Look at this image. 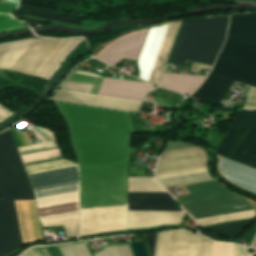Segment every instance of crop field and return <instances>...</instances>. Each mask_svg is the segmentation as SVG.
Returning a JSON list of instances; mask_svg holds the SVG:
<instances>
[{
  "label": "crop field",
  "instance_id": "obj_28",
  "mask_svg": "<svg viewBox=\"0 0 256 256\" xmlns=\"http://www.w3.org/2000/svg\"><path fill=\"white\" fill-rule=\"evenodd\" d=\"M253 217H254V210L235 213V214H229V215H224V216L206 218V219H199V220H195V221L198 223V227H201V226L236 221V220H241V219H248V218H253Z\"/></svg>",
  "mask_w": 256,
  "mask_h": 256
},
{
  "label": "crop field",
  "instance_id": "obj_30",
  "mask_svg": "<svg viewBox=\"0 0 256 256\" xmlns=\"http://www.w3.org/2000/svg\"><path fill=\"white\" fill-rule=\"evenodd\" d=\"M21 27L25 25L11 17L0 15V32Z\"/></svg>",
  "mask_w": 256,
  "mask_h": 256
},
{
  "label": "crop field",
  "instance_id": "obj_16",
  "mask_svg": "<svg viewBox=\"0 0 256 256\" xmlns=\"http://www.w3.org/2000/svg\"><path fill=\"white\" fill-rule=\"evenodd\" d=\"M53 100L139 112L142 102L58 90Z\"/></svg>",
  "mask_w": 256,
  "mask_h": 256
},
{
  "label": "crop field",
  "instance_id": "obj_33",
  "mask_svg": "<svg viewBox=\"0 0 256 256\" xmlns=\"http://www.w3.org/2000/svg\"><path fill=\"white\" fill-rule=\"evenodd\" d=\"M146 237V241L149 247V251L151 256H154V247H155V238H156V234H147L145 235ZM157 237H158V233H157ZM156 246H157V238H156ZM155 255H156V247H155Z\"/></svg>",
  "mask_w": 256,
  "mask_h": 256
},
{
  "label": "crop field",
  "instance_id": "obj_41",
  "mask_svg": "<svg viewBox=\"0 0 256 256\" xmlns=\"http://www.w3.org/2000/svg\"><path fill=\"white\" fill-rule=\"evenodd\" d=\"M0 122H1V120H0Z\"/></svg>",
  "mask_w": 256,
  "mask_h": 256
},
{
  "label": "crop field",
  "instance_id": "obj_26",
  "mask_svg": "<svg viewBox=\"0 0 256 256\" xmlns=\"http://www.w3.org/2000/svg\"><path fill=\"white\" fill-rule=\"evenodd\" d=\"M17 11L22 14L34 15L39 17H45V18H51V19L81 24L80 16L59 14V13H55L47 10L36 9L31 7H21V6L18 8Z\"/></svg>",
  "mask_w": 256,
  "mask_h": 256
},
{
  "label": "crop field",
  "instance_id": "obj_32",
  "mask_svg": "<svg viewBox=\"0 0 256 256\" xmlns=\"http://www.w3.org/2000/svg\"><path fill=\"white\" fill-rule=\"evenodd\" d=\"M230 245L216 243L214 256H228Z\"/></svg>",
  "mask_w": 256,
  "mask_h": 256
},
{
  "label": "crop field",
  "instance_id": "obj_14",
  "mask_svg": "<svg viewBox=\"0 0 256 256\" xmlns=\"http://www.w3.org/2000/svg\"><path fill=\"white\" fill-rule=\"evenodd\" d=\"M148 30L130 33L123 36L122 38L110 44L102 53L97 56V58L114 67L124 57L137 60Z\"/></svg>",
  "mask_w": 256,
  "mask_h": 256
},
{
  "label": "crop field",
  "instance_id": "obj_23",
  "mask_svg": "<svg viewBox=\"0 0 256 256\" xmlns=\"http://www.w3.org/2000/svg\"><path fill=\"white\" fill-rule=\"evenodd\" d=\"M76 71L77 72H82V73H87V74L99 76L97 74L90 73V72H84V71H79V70H76ZM77 72H74L72 74V76L67 81L91 85L90 88L87 85H81V84L65 82V84L62 86L61 89L86 92V90L89 88L87 90L88 93L96 94L97 91H98V88L100 86V83H101V80H102V78H101L102 76L101 77H96V76H91V75L77 73Z\"/></svg>",
  "mask_w": 256,
  "mask_h": 256
},
{
  "label": "crop field",
  "instance_id": "obj_4",
  "mask_svg": "<svg viewBox=\"0 0 256 256\" xmlns=\"http://www.w3.org/2000/svg\"><path fill=\"white\" fill-rule=\"evenodd\" d=\"M0 256L23 247L14 198H35L11 131L0 134Z\"/></svg>",
  "mask_w": 256,
  "mask_h": 256
},
{
  "label": "crop field",
  "instance_id": "obj_19",
  "mask_svg": "<svg viewBox=\"0 0 256 256\" xmlns=\"http://www.w3.org/2000/svg\"><path fill=\"white\" fill-rule=\"evenodd\" d=\"M220 173L242 189L256 193V170L218 156Z\"/></svg>",
  "mask_w": 256,
  "mask_h": 256
},
{
  "label": "crop field",
  "instance_id": "obj_31",
  "mask_svg": "<svg viewBox=\"0 0 256 256\" xmlns=\"http://www.w3.org/2000/svg\"><path fill=\"white\" fill-rule=\"evenodd\" d=\"M245 109H256V88H251L248 98L245 102Z\"/></svg>",
  "mask_w": 256,
  "mask_h": 256
},
{
  "label": "crop field",
  "instance_id": "obj_5",
  "mask_svg": "<svg viewBox=\"0 0 256 256\" xmlns=\"http://www.w3.org/2000/svg\"><path fill=\"white\" fill-rule=\"evenodd\" d=\"M82 40L27 39L1 43L0 68L49 80Z\"/></svg>",
  "mask_w": 256,
  "mask_h": 256
},
{
  "label": "crop field",
  "instance_id": "obj_15",
  "mask_svg": "<svg viewBox=\"0 0 256 256\" xmlns=\"http://www.w3.org/2000/svg\"><path fill=\"white\" fill-rule=\"evenodd\" d=\"M189 195L177 197L182 207L239 198L216 180L184 185Z\"/></svg>",
  "mask_w": 256,
  "mask_h": 256
},
{
  "label": "crop field",
  "instance_id": "obj_25",
  "mask_svg": "<svg viewBox=\"0 0 256 256\" xmlns=\"http://www.w3.org/2000/svg\"><path fill=\"white\" fill-rule=\"evenodd\" d=\"M128 192H165L153 177H129Z\"/></svg>",
  "mask_w": 256,
  "mask_h": 256
},
{
  "label": "crop field",
  "instance_id": "obj_2",
  "mask_svg": "<svg viewBox=\"0 0 256 256\" xmlns=\"http://www.w3.org/2000/svg\"><path fill=\"white\" fill-rule=\"evenodd\" d=\"M234 81L256 86V14L231 16L210 75L190 97L218 105Z\"/></svg>",
  "mask_w": 256,
  "mask_h": 256
},
{
  "label": "crop field",
  "instance_id": "obj_34",
  "mask_svg": "<svg viewBox=\"0 0 256 256\" xmlns=\"http://www.w3.org/2000/svg\"><path fill=\"white\" fill-rule=\"evenodd\" d=\"M231 256H251L247 249L233 244Z\"/></svg>",
  "mask_w": 256,
  "mask_h": 256
},
{
  "label": "crop field",
  "instance_id": "obj_29",
  "mask_svg": "<svg viewBox=\"0 0 256 256\" xmlns=\"http://www.w3.org/2000/svg\"><path fill=\"white\" fill-rule=\"evenodd\" d=\"M22 256H61L56 245L32 247Z\"/></svg>",
  "mask_w": 256,
  "mask_h": 256
},
{
  "label": "crop field",
  "instance_id": "obj_3",
  "mask_svg": "<svg viewBox=\"0 0 256 256\" xmlns=\"http://www.w3.org/2000/svg\"><path fill=\"white\" fill-rule=\"evenodd\" d=\"M39 211L40 222L78 217L79 171L65 159L25 167ZM78 218L45 223L63 225L66 237L77 236Z\"/></svg>",
  "mask_w": 256,
  "mask_h": 256
},
{
  "label": "crop field",
  "instance_id": "obj_27",
  "mask_svg": "<svg viewBox=\"0 0 256 256\" xmlns=\"http://www.w3.org/2000/svg\"><path fill=\"white\" fill-rule=\"evenodd\" d=\"M250 220H243L237 222L224 223L206 227L209 230L223 234L227 237L240 234L251 222Z\"/></svg>",
  "mask_w": 256,
  "mask_h": 256
},
{
  "label": "crop field",
  "instance_id": "obj_7",
  "mask_svg": "<svg viewBox=\"0 0 256 256\" xmlns=\"http://www.w3.org/2000/svg\"><path fill=\"white\" fill-rule=\"evenodd\" d=\"M128 211L183 212L167 193H128ZM184 214L128 212V229L180 224Z\"/></svg>",
  "mask_w": 256,
  "mask_h": 256
},
{
  "label": "crop field",
  "instance_id": "obj_40",
  "mask_svg": "<svg viewBox=\"0 0 256 256\" xmlns=\"http://www.w3.org/2000/svg\"><path fill=\"white\" fill-rule=\"evenodd\" d=\"M0 198H3L1 192H0Z\"/></svg>",
  "mask_w": 256,
  "mask_h": 256
},
{
  "label": "crop field",
  "instance_id": "obj_10",
  "mask_svg": "<svg viewBox=\"0 0 256 256\" xmlns=\"http://www.w3.org/2000/svg\"><path fill=\"white\" fill-rule=\"evenodd\" d=\"M215 241L181 231L159 233L157 256H213Z\"/></svg>",
  "mask_w": 256,
  "mask_h": 256
},
{
  "label": "crop field",
  "instance_id": "obj_12",
  "mask_svg": "<svg viewBox=\"0 0 256 256\" xmlns=\"http://www.w3.org/2000/svg\"><path fill=\"white\" fill-rule=\"evenodd\" d=\"M14 129H15V132L17 134V137H18V140H19L21 146H23L24 144L25 145L32 144L28 134L26 132H24V133L20 132L21 136H22V139L24 141V144H23L18 129H16V127H14ZM14 129L12 128L13 132H14ZM35 129L47 141L55 140L52 132H50L48 130H45V129L38 128V127H35ZM35 129L32 128V130L34 131L36 137L41 142H45L46 140ZM15 132H14V135L16 137ZM17 137H16V140H17ZM18 140H17V143L19 145ZM55 144H57L56 141H52V142H46V143H40V144H35V145H30V146L19 147L18 149H19V152H21V151H26V150L40 148V147L55 145ZM18 145H17V147H18ZM20 155L22 157V160H23V163H24L25 166L32 165V164H37V163H42V162H46V161H51V160H56V159H61L62 158V155H61L57 145L50 146V147H45V148H40V149H36V150H31V151H26V152H21Z\"/></svg>",
  "mask_w": 256,
  "mask_h": 256
},
{
  "label": "crop field",
  "instance_id": "obj_6",
  "mask_svg": "<svg viewBox=\"0 0 256 256\" xmlns=\"http://www.w3.org/2000/svg\"><path fill=\"white\" fill-rule=\"evenodd\" d=\"M227 16L183 20L168 63L183 60L212 65L226 35Z\"/></svg>",
  "mask_w": 256,
  "mask_h": 256
},
{
  "label": "crop field",
  "instance_id": "obj_11",
  "mask_svg": "<svg viewBox=\"0 0 256 256\" xmlns=\"http://www.w3.org/2000/svg\"><path fill=\"white\" fill-rule=\"evenodd\" d=\"M127 230V205L80 209L79 237Z\"/></svg>",
  "mask_w": 256,
  "mask_h": 256
},
{
  "label": "crop field",
  "instance_id": "obj_8",
  "mask_svg": "<svg viewBox=\"0 0 256 256\" xmlns=\"http://www.w3.org/2000/svg\"><path fill=\"white\" fill-rule=\"evenodd\" d=\"M216 154L256 169V111H238Z\"/></svg>",
  "mask_w": 256,
  "mask_h": 256
},
{
  "label": "crop field",
  "instance_id": "obj_9",
  "mask_svg": "<svg viewBox=\"0 0 256 256\" xmlns=\"http://www.w3.org/2000/svg\"><path fill=\"white\" fill-rule=\"evenodd\" d=\"M181 21L151 28L138 59L139 78L158 85Z\"/></svg>",
  "mask_w": 256,
  "mask_h": 256
},
{
  "label": "crop field",
  "instance_id": "obj_37",
  "mask_svg": "<svg viewBox=\"0 0 256 256\" xmlns=\"http://www.w3.org/2000/svg\"><path fill=\"white\" fill-rule=\"evenodd\" d=\"M9 115H11V113L0 106V119L3 120L5 118H7Z\"/></svg>",
  "mask_w": 256,
  "mask_h": 256
},
{
  "label": "crop field",
  "instance_id": "obj_17",
  "mask_svg": "<svg viewBox=\"0 0 256 256\" xmlns=\"http://www.w3.org/2000/svg\"><path fill=\"white\" fill-rule=\"evenodd\" d=\"M154 89L147 83L104 78L97 94L142 101Z\"/></svg>",
  "mask_w": 256,
  "mask_h": 256
},
{
  "label": "crop field",
  "instance_id": "obj_38",
  "mask_svg": "<svg viewBox=\"0 0 256 256\" xmlns=\"http://www.w3.org/2000/svg\"><path fill=\"white\" fill-rule=\"evenodd\" d=\"M249 246L254 250V252L256 253V233L253 236L252 240L249 243Z\"/></svg>",
  "mask_w": 256,
  "mask_h": 256
},
{
  "label": "crop field",
  "instance_id": "obj_24",
  "mask_svg": "<svg viewBox=\"0 0 256 256\" xmlns=\"http://www.w3.org/2000/svg\"><path fill=\"white\" fill-rule=\"evenodd\" d=\"M205 171H207L206 168H201V169L184 171V172H179V173H174V174L157 176L155 178H156V180H159V179L171 178V177L188 175V174L205 172ZM209 179H211V178L209 177L208 173L205 172V173L176 177V178H171V179L159 180L158 182L163 187H167V186H173V185H179V184H185V183H191V182H197V181H203V180H209Z\"/></svg>",
  "mask_w": 256,
  "mask_h": 256
},
{
  "label": "crop field",
  "instance_id": "obj_22",
  "mask_svg": "<svg viewBox=\"0 0 256 256\" xmlns=\"http://www.w3.org/2000/svg\"><path fill=\"white\" fill-rule=\"evenodd\" d=\"M204 78L205 77L165 73L160 86L188 95L196 90Z\"/></svg>",
  "mask_w": 256,
  "mask_h": 256
},
{
  "label": "crop field",
  "instance_id": "obj_35",
  "mask_svg": "<svg viewBox=\"0 0 256 256\" xmlns=\"http://www.w3.org/2000/svg\"><path fill=\"white\" fill-rule=\"evenodd\" d=\"M16 7V5L0 3V13H6L11 15Z\"/></svg>",
  "mask_w": 256,
  "mask_h": 256
},
{
  "label": "crop field",
  "instance_id": "obj_13",
  "mask_svg": "<svg viewBox=\"0 0 256 256\" xmlns=\"http://www.w3.org/2000/svg\"><path fill=\"white\" fill-rule=\"evenodd\" d=\"M207 159L202 149L191 147L163 152L156 167V175L206 167Z\"/></svg>",
  "mask_w": 256,
  "mask_h": 256
},
{
  "label": "crop field",
  "instance_id": "obj_18",
  "mask_svg": "<svg viewBox=\"0 0 256 256\" xmlns=\"http://www.w3.org/2000/svg\"><path fill=\"white\" fill-rule=\"evenodd\" d=\"M24 246L43 240L35 199H15Z\"/></svg>",
  "mask_w": 256,
  "mask_h": 256
},
{
  "label": "crop field",
  "instance_id": "obj_1",
  "mask_svg": "<svg viewBox=\"0 0 256 256\" xmlns=\"http://www.w3.org/2000/svg\"><path fill=\"white\" fill-rule=\"evenodd\" d=\"M72 137L80 170V208L126 201L133 131L126 113L56 103Z\"/></svg>",
  "mask_w": 256,
  "mask_h": 256
},
{
  "label": "crop field",
  "instance_id": "obj_20",
  "mask_svg": "<svg viewBox=\"0 0 256 256\" xmlns=\"http://www.w3.org/2000/svg\"><path fill=\"white\" fill-rule=\"evenodd\" d=\"M252 206L244 198L207 204L183 209L194 219L251 210Z\"/></svg>",
  "mask_w": 256,
  "mask_h": 256
},
{
  "label": "crop field",
  "instance_id": "obj_36",
  "mask_svg": "<svg viewBox=\"0 0 256 256\" xmlns=\"http://www.w3.org/2000/svg\"><path fill=\"white\" fill-rule=\"evenodd\" d=\"M201 68L210 69L211 66L193 62L191 66V72L198 73Z\"/></svg>",
  "mask_w": 256,
  "mask_h": 256
},
{
  "label": "crop field",
  "instance_id": "obj_39",
  "mask_svg": "<svg viewBox=\"0 0 256 256\" xmlns=\"http://www.w3.org/2000/svg\"><path fill=\"white\" fill-rule=\"evenodd\" d=\"M1 2H6V3H13V4H18L19 0H0Z\"/></svg>",
  "mask_w": 256,
  "mask_h": 256
},
{
  "label": "crop field",
  "instance_id": "obj_21",
  "mask_svg": "<svg viewBox=\"0 0 256 256\" xmlns=\"http://www.w3.org/2000/svg\"><path fill=\"white\" fill-rule=\"evenodd\" d=\"M103 248L95 253L88 247L87 243L60 247L64 256H131L127 244Z\"/></svg>",
  "mask_w": 256,
  "mask_h": 256
}]
</instances>
